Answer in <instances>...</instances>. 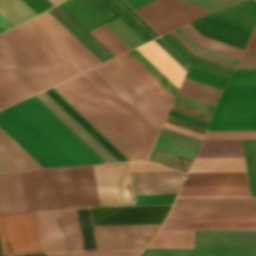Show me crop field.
<instances>
[{"instance_id": "5d738f31", "label": "crop field", "mask_w": 256, "mask_h": 256, "mask_svg": "<svg viewBox=\"0 0 256 256\" xmlns=\"http://www.w3.org/2000/svg\"><path fill=\"white\" fill-rule=\"evenodd\" d=\"M177 196H249L248 190L179 191Z\"/></svg>"}, {"instance_id": "0bd39190", "label": "crop field", "mask_w": 256, "mask_h": 256, "mask_svg": "<svg viewBox=\"0 0 256 256\" xmlns=\"http://www.w3.org/2000/svg\"><path fill=\"white\" fill-rule=\"evenodd\" d=\"M108 27L122 42H124L130 49L144 43V41L137 36L126 24L119 18L104 24Z\"/></svg>"}, {"instance_id": "dafd665d", "label": "crop field", "mask_w": 256, "mask_h": 256, "mask_svg": "<svg viewBox=\"0 0 256 256\" xmlns=\"http://www.w3.org/2000/svg\"><path fill=\"white\" fill-rule=\"evenodd\" d=\"M181 186H248L245 171L187 172Z\"/></svg>"}, {"instance_id": "d1516ede", "label": "crop field", "mask_w": 256, "mask_h": 256, "mask_svg": "<svg viewBox=\"0 0 256 256\" xmlns=\"http://www.w3.org/2000/svg\"><path fill=\"white\" fill-rule=\"evenodd\" d=\"M118 165L125 205H135L127 162ZM93 167L100 205H124L117 163Z\"/></svg>"}, {"instance_id": "ac0d7876", "label": "crop field", "mask_w": 256, "mask_h": 256, "mask_svg": "<svg viewBox=\"0 0 256 256\" xmlns=\"http://www.w3.org/2000/svg\"><path fill=\"white\" fill-rule=\"evenodd\" d=\"M55 88L132 161L148 158L159 132L93 69Z\"/></svg>"}, {"instance_id": "3316defc", "label": "crop field", "mask_w": 256, "mask_h": 256, "mask_svg": "<svg viewBox=\"0 0 256 256\" xmlns=\"http://www.w3.org/2000/svg\"><path fill=\"white\" fill-rule=\"evenodd\" d=\"M0 243L3 255L42 252L35 212L1 214Z\"/></svg>"}, {"instance_id": "00972430", "label": "crop field", "mask_w": 256, "mask_h": 256, "mask_svg": "<svg viewBox=\"0 0 256 256\" xmlns=\"http://www.w3.org/2000/svg\"><path fill=\"white\" fill-rule=\"evenodd\" d=\"M0 130L12 142H14L30 159H32L40 168H42V166L38 162H36L24 149H22L10 136H8L1 128ZM1 131L0 171L39 168Z\"/></svg>"}, {"instance_id": "1f2cbd36", "label": "crop field", "mask_w": 256, "mask_h": 256, "mask_svg": "<svg viewBox=\"0 0 256 256\" xmlns=\"http://www.w3.org/2000/svg\"><path fill=\"white\" fill-rule=\"evenodd\" d=\"M243 53H256V27L254 28Z\"/></svg>"}, {"instance_id": "028f5c9d", "label": "crop field", "mask_w": 256, "mask_h": 256, "mask_svg": "<svg viewBox=\"0 0 256 256\" xmlns=\"http://www.w3.org/2000/svg\"><path fill=\"white\" fill-rule=\"evenodd\" d=\"M149 74H151L165 89L175 96L178 88L167 79L151 62H149L136 48L127 52Z\"/></svg>"}, {"instance_id": "73cf0c24", "label": "crop field", "mask_w": 256, "mask_h": 256, "mask_svg": "<svg viewBox=\"0 0 256 256\" xmlns=\"http://www.w3.org/2000/svg\"><path fill=\"white\" fill-rule=\"evenodd\" d=\"M236 69H256V54H243Z\"/></svg>"}, {"instance_id": "cbeb9de0", "label": "crop field", "mask_w": 256, "mask_h": 256, "mask_svg": "<svg viewBox=\"0 0 256 256\" xmlns=\"http://www.w3.org/2000/svg\"><path fill=\"white\" fill-rule=\"evenodd\" d=\"M160 225L94 226L98 250L143 249Z\"/></svg>"}, {"instance_id": "4a817a6b", "label": "crop field", "mask_w": 256, "mask_h": 256, "mask_svg": "<svg viewBox=\"0 0 256 256\" xmlns=\"http://www.w3.org/2000/svg\"><path fill=\"white\" fill-rule=\"evenodd\" d=\"M109 21L119 17L145 42L159 36L123 0H88Z\"/></svg>"}, {"instance_id": "5142ce71", "label": "crop field", "mask_w": 256, "mask_h": 256, "mask_svg": "<svg viewBox=\"0 0 256 256\" xmlns=\"http://www.w3.org/2000/svg\"><path fill=\"white\" fill-rule=\"evenodd\" d=\"M200 140L162 128L148 160L184 172L194 159ZM155 147L191 159V162L154 150Z\"/></svg>"}, {"instance_id": "412701ff", "label": "crop field", "mask_w": 256, "mask_h": 256, "mask_svg": "<svg viewBox=\"0 0 256 256\" xmlns=\"http://www.w3.org/2000/svg\"><path fill=\"white\" fill-rule=\"evenodd\" d=\"M19 173L26 211L99 205L92 165Z\"/></svg>"}, {"instance_id": "9d1cf04e", "label": "crop field", "mask_w": 256, "mask_h": 256, "mask_svg": "<svg viewBox=\"0 0 256 256\" xmlns=\"http://www.w3.org/2000/svg\"><path fill=\"white\" fill-rule=\"evenodd\" d=\"M133 9H136L152 0H125Z\"/></svg>"}, {"instance_id": "d23c7cc5", "label": "crop field", "mask_w": 256, "mask_h": 256, "mask_svg": "<svg viewBox=\"0 0 256 256\" xmlns=\"http://www.w3.org/2000/svg\"><path fill=\"white\" fill-rule=\"evenodd\" d=\"M176 194L134 195L136 205L172 204Z\"/></svg>"}, {"instance_id": "750c4746", "label": "crop field", "mask_w": 256, "mask_h": 256, "mask_svg": "<svg viewBox=\"0 0 256 256\" xmlns=\"http://www.w3.org/2000/svg\"><path fill=\"white\" fill-rule=\"evenodd\" d=\"M220 92L221 89L185 77L177 93L214 106Z\"/></svg>"}, {"instance_id": "bc2a9ffb", "label": "crop field", "mask_w": 256, "mask_h": 256, "mask_svg": "<svg viewBox=\"0 0 256 256\" xmlns=\"http://www.w3.org/2000/svg\"><path fill=\"white\" fill-rule=\"evenodd\" d=\"M134 194L176 193L183 173L178 171L130 172Z\"/></svg>"}, {"instance_id": "89e229c0", "label": "crop field", "mask_w": 256, "mask_h": 256, "mask_svg": "<svg viewBox=\"0 0 256 256\" xmlns=\"http://www.w3.org/2000/svg\"><path fill=\"white\" fill-rule=\"evenodd\" d=\"M154 40L161 47H163L177 62H179L185 69H187L188 64L175 51H173L160 37H158V38H156Z\"/></svg>"}, {"instance_id": "d3111659", "label": "crop field", "mask_w": 256, "mask_h": 256, "mask_svg": "<svg viewBox=\"0 0 256 256\" xmlns=\"http://www.w3.org/2000/svg\"><path fill=\"white\" fill-rule=\"evenodd\" d=\"M190 24L199 31L215 35L217 37L235 42L243 46H245L250 34L249 32L228 25H224L203 17L190 22Z\"/></svg>"}, {"instance_id": "c21b1889", "label": "crop field", "mask_w": 256, "mask_h": 256, "mask_svg": "<svg viewBox=\"0 0 256 256\" xmlns=\"http://www.w3.org/2000/svg\"><path fill=\"white\" fill-rule=\"evenodd\" d=\"M141 250L47 253V256H137Z\"/></svg>"}, {"instance_id": "733c2abd", "label": "crop field", "mask_w": 256, "mask_h": 256, "mask_svg": "<svg viewBox=\"0 0 256 256\" xmlns=\"http://www.w3.org/2000/svg\"><path fill=\"white\" fill-rule=\"evenodd\" d=\"M160 230H256V219L166 218Z\"/></svg>"}, {"instance_id": "5866460e", "label": "crop field", "mask_w": 256, "mask_h": 256, "mask_svg": "<svg viewBox=\"0 0 256 256\" xmlns=\"http://www.w3.org/2000/svg\"><path fill=\"white\" fill-rule=\"evenodd\" d=\"M0 13L14 26L36 15L21 0H0Z\"/></svg>"}, {"instance_id": "db79e9e6", "label": "crop field", "mask_w": 256, "mask_h": 256, "mask_svg": "<svg viewBox=\"0 0 256 256\" xmlns=\"http://www.w3.org/2000/svg\"><path fill=\"white\" fill-rule=\"evenodd\" d=\"M53 5H55L56 3H58V2H61V1H63V0H49Z\"/></svg>"}, {"instance_id": "e1f06a70", "label": "crop field", "mask_w": 256, "mask_h": 256, "mask_svg": "<svg viewBox=\"0 0 256 256\" xmlns=\"http://www.w3.org/2000/svg\"><path fill=\"white\" fill-rule=\"evenodd\" d=\"M251 196H256V140H242Z\"/></svg>"}, {"instance_id": "1d79db26", "label": "crop field", "mask_w": 256, "mask_h": 256, "mask_svg": "<svg viewBox=\"0 0 256 256\" xmlns=\"http://www.w3.org/2000/svg\"><path fill=\"white\" fill-rule=\"evenodd\" d=\"M41 11L53 6L48 0H31Z\"/></svg>"}, {"instance_id": "a9b5d70f", "label": "crop field", "mask_w": 256, "mask_h": 256, "mask_svg": "<svg viewBox=\"0 0 256 256\" xmlns=\"http://www.w3.org/2000/svg\"><path fill=\"white\" fill-rule=\"evenodd\" d=\"M42 250H65L58 210L36 212Z\"/></svg>"}, {"instance_id": "28ad6ade", "label": "crop field", "mask_w": 256, "mask_h": 256, "mask_svg": "<svg viewBox=\"0 0 256 256\" xmlns=\"http://www.w3.org/2000/svg\"><path fill=\"white\" fill-rule=\"evenodd\" d=\"M135 11L160 35L208 12L176 0H156Z\"/></svg>"}, {"instance_id": "34b2d1b8", "label": "crop field", "mask_w": 256, "mask_h": 256, "mask_svg": "<svg viewBox=\"0 0 256 256\" xmlns=\"http://www.w3.org/2000/svg\"><path fill=\"white\" fill-rule=\"evenodd\" d=\"M0 126L43 167L104 163L34 96L0 111Z\"/></svg>"}, {"instance_id": "447ae74e", "label": "crop field", "mask_w": 256, "mask_h": 256, "mask_svg": "<svg viewBox=\"0 0 256 256\" xmlns=\"http://www.w3.org/2000/svg\"><path fill=\"white\" fill-rule=\"evenodd\" d=\"M0 25L5 29L14 27L2 14H0Z\"/></svg>"}, {"instance_id": "03da06ac", "label": "crop field", "mask_w": 256, "mask_h": 256, "mask_svg": "<svg viewBox=\"0 0 256 256\" xmlns=\"http://www.w3.org/2000/svg\"><path fill=\"white\" fill-rule=\"evenodd\" d=\"M174 32L179 35L189 46H191L195 51L206 54L208 56L226 61L228 63L231 64H236L237 62V58L222 54V53H218L203 47L198 46L190 37H188L180 28L174 30Z\"/></svg>"}, {"instance_id": "1d83c4d3", "label": "crop field", "mask_w": 256, "mask_h": 256, "mask_svg": "<svg viewBox=\"0 0 256 256\" xmlns=\"http://www.w3.org/2000/svg\"><path fill=\"white\" fill-rule=\"evenodd\" d=\"M118 58L124 64H126L142 81H144L160 98H162L169 106H171L174 97L168 91H166L152 76H150L136 61H134L127 53L118 56Z\"/></svg>"}, {"instance_id": "d9b57169", "label": "crop field", "mask_w": 256, "mask_h": 256, "mask_svg": "<svg viewBox=\"0 0 256 256\" xmlns=\"http://www.w3.org/2000/svg\"><path fill=\"white\" fill-rule=\"evenodd\" d=\"M59 212L66 250H96L89 207Z\"/></svg>"}, {"instance_id": "425ffa30", "label": "crop field", "mask_w": 256, "mask_h": 256, "mask_svg": "<svg viewBox=\"0 0 256 256\" xmlns=\"http://www.w3.org/2000/svg\"><path fill=\"white\" fill-rule=\"evenodd\" d=\"M184 1V0H182ZM191 3L196 4L199 7L208 9V10H213L215 8L221 7L223 5H228L230 3H233L237 0H186Z\"/></svg>"}, {"instance_id": "22f410ed", "label": "crop field", "mask_w": 256, "mask_h": 256, "mask_svg": "<svg viewBox=\"0 0 256 256\" xmlns=\"http://www.w3.org/2000/svg\"><path fill=\"white\" fill-rule=\"evenodd\" d=\"M172 205L91 207L94 225L162 224Z\"/></svg>"}, {"instance_id": "0765c3eb", "label": "crop field", "mask_w": 256, "mask_h": 256, "mask_svg": "<svg viewBox=\"0 0 256 256\" xmlns=\"http://www.w3.org/2000/svg\"><path fill=\"white\" fill-rule=\"evenodd\" d=\"M25 4H27L36 14L40 13V11L29 1L22 0Z\"/></svg>"}, {"instance_id": "c035e120", "label": "crop field", "mask_w": 256, "mask_h": 256, "mask_svg": "<svg viewBox=\"0 0 256 256\" xmlns=\"http://www.w3.org/2000/svg\"><path fill=\"white\" fill-rule=\"evenodd\" d=\"M185 76L204 82L206 84L221 88V89H223L227 81V78H224V77H221V76H218V75H215L191 66L189 67Z\"/></svg>"}, {"instance_id": "120bbe31", "label": "crop field", "mask_w": 256, "mask_h": 256, "mask_svg": "<svg viewBox=\"0 0 256 256\" xmlns=\"http://www.w3.org/2000/svg\"><path fill=\"white\" fill-rule=\"evenodd\" d=\"M192 238L193 231H158L146 247H192Z\"/></svg>"}, {"instance_id": "ae1a2a85", "label": "crop field", "mask_w": 256, "mask_h": 256, "mask_svg": "<svg viewBox=\"0 0 256 256\" xmlns=\"http://www.w3.org/2000/svg\"><path fill=\"white\" fill-rule=\"evenodd\" d=\"M173 207H256V198H241V197L177 198Z\"/></svg>"}, {"instance_id": "0f1d7ab4", "label": "crop field", "mask_w": 256, "mask_h": 256, "mask_svg": "<svg viewBox=\"0 0 256 256\" xmlns=\"http://www.w3.org/2000/svg\"><path fill=\"white\" fill-rule=\"evenodd\" d=\"M0 255H2V253H1V248H0Z\"/></svg>"}, {"instance_id": "214f88e0", "label": "crop field", "mask_w": 256, "mask_h": 256, "mask_svg": "<svg viewBox=\"0 0 256 256\" xmlns=\"http://www.w3.org/2000/svg\"><path fill=\"white\" fill-rule=\"evenodd\" d=\"M204 17L250 32L253 25H256V0H242L214 10Z\"/></svg>"}, {"instance_id": "5a996713", "label": "crop field", "mask_w": 256, "mask_h": 256, "mask_svg": "<svg viewBox=\"0 0 256 256\" xmlns=\"http://www.w3.org/2000/svg\"><path fill=\"white\" fill-rule=\"evenodd\" d=\"M60 4L88 30L108 22V20L87 0H65ZM60 4L47 11L102 62L114 57V55L106 47H104Z\"/></svg>"}, {"instance_id": "eef30255", "label": "crop field", "mask_w": 256, "mask_h": 256, "mask_svg": "<svg viewBox=\"0 0 256 256\" xmlns=\"http://www.w3.org/2000/svg\"><path fill=\"white\" fill-rule=\"evenodd\" d=\"M168 43L182 58L190 65L210 71L212 73L229 78L233 68L215 63L213 61L193 55L183 44H181L170 32L160 36Z\"/></svg>"}, {"instance_id": "4177f3b9", "label": "crop field", "mask_w": 256, "mask_h": 256, "mask_svg": "<svg viewBox=\"0 0 256 256\" xmlns=\"http://www.w3.org/2000/svg\"><path fill=\"white\" fill-rule=\"evenodd\" d=\"M14 204V205H9ZM25 211L18 171L0 172V213Z\"/></svg>"}, {"instance_id": "7b73153f", "label": "crop field", "mask_w": 256, "mask_h": 256, "mask_svg": "<svg viewBox=\"0 0 256 256\" xmlns=\"http://www.w3.org/2000/svg\"><path fill=\"white\" fill-rule=\"evenodd\" d=\"M30 256H46V254H41V255H30Z\"/></svg>"}, {"instance_id": "8a807250", "label": "crop field", "mask_w": 256, "mask_h": 256, "mask_svg": "<svg viewBox=\"0 0 256 256\" xmlns=\"http://www.w3.org/2000/svg\"><path fill=\"white\" fill-rule=\"evenodd\" d=\"M54 84L101 61L47 11L2 33ZM0 34V85L17 101L54 85Z\"/></svg>"}, {"instance_id": "b54c1fbb", "label": "crop field", "mask_w": 256, "mask_h": 256, "mask_svg": "<svg viewBox=\"0 0 256 256\" xmlns=\"http://www.w3.org/2000/svg\"><path fill=\"white\" fill-rule=\"evenodd\" d=\"M204 139H256L253 131H207Z\"/></svg>"}, {"instance_id": "dd49c442", "label": "crop field", "mask_w": 256, "mask_h": 256, "mask_svg": "<svg viewBox=\"0 0 256 256\" xmlns=\"http://www.w3.org/2000/svg\"><path fill=\"white\" fill-rule=\"evenodd\" d=\"M93 69L160 131L170 107L117 57Z\"/></svg>"}, {"instance_id": "dbb93151", "label": "crop field", "mask_w": 256, "mask_h": 256, "mask_svg": "<svg viewBox=\"0 0 256 256\" xmlns=\"http://www.w3.org/2000/svg\"><path fill=\"white\" fill-rule=\"evenodd\" d=\"M171 33L180 41L182 42L193 54L195 55H198V56H201V57H204V58H207V59H210V60H213L215 62H218V63H221V64H224V65H227V66H230V67H235L234 65H231V64H228V63H225L223 61H220V60H217V59H214V58H211V57H208V56H205L203 54H200V53H197L195 52L191 47H189L179 36H177L173 31H171Z\"/></svg>"}, {"instance_id": "b80d0937", "label": "crop field", "mask_w": 256, "mask_h": 256, "mask_svg": "<svg viewBox=\"0 0 256 256\" xmlns=\"http://www.w3.org/2000/svg\"><path fill=\"white\" fill-rule=\"evenodd\" d=\"M108 28V27H107ZM104 25L94 29L99 35H101L112 47H114L119 53L128 49V47L122 43L111 31H109ZM91 31V33L101 42L103 43L114 55L118 54V52L112 48L101 36H99L95 31Z\"/></svg>"}, {"instance_id": "d8731c3e", "label": "crop field", "mask_w": 256, "mask_h": 256, "mask_svg": "<svg viewBox=\"0 0 256 256\" xmlns=\"http://www.w3.org/2000/svg\"><path fill=\"white\" fill-rule=\"evenodd\" d=\"M139 256H256V231H194L193 248H144Z\"/></svg>"}, {"instance_id": "d32e631a", "label": "crop field", "mask_w": 256, "mask_h": 256, "mask_svg": "<svg viewBox=\"0 0 256 256\" xmlns=\"http://www.w3.org/2000/svg\"><path fill=\"white\" fill-rule=\"evenodd\" d=\"M198 45L239 58L242 49L202 36L189 23L180 27Z\"/></svg>"}, {"instance_id": "f4fd0767", "label": "crop field", "mask_w": 256, "mask_h": 256, "mask_svg": "<svg viewBox=\"0 0 256 256\" xmlns=\"http://www.w3.org/2000/svg\"><path fill=\"white\" fill-rule=\"evenodd\" d=\"M256 129V70H235L221 93L207 130Z\"/></svg>"}, {"instance_id": "730fd06b", "label": "crop field", "mask_w": 256, "mask_h": 256, "mask_svg": "<svg viewBox=\"0 0 256 256\" xmlns=\"http://www.w3.org/2000/svg\"><path fill=\"white\" fill-rule=\"evenodd\" d=\"M168 217L256 218V208H172Z\"/></svg>"}, {"instance_id": "e52e79f7", "label": "crop field", "mask_w": 256, "mask_h": 256, "mask_svg": "<svg viewBox=\"0 0 256 256\" xmlns=\"http://www.w3.org/2000/svg\"><path fill=\"white\" fill-rule=\"evenodd\" d=\"M35 97L105 163L131 161L54 87Z\"/></svg>"}, {"instance_id": "78b8030e", "label": "crop field", "mask_w": 256, "mask_h": 256, "mask_svg": "<svg viewBox=\"0 0 256 256\" xmlns=\"http://www.w3.org/2000/svg\"><path fill=\"white\" fill-rule=\"evenodd\" d=\"M4 31V29L0 26V32Z\"/></svg>"}, {"instance_id": "bd1437ed", "label": "crop field", "mask_w": 256, "mask_h": 256, "mask_svg": "<svg viewBox=\"0 0 256 256\" xmlns=\"http://www.w3.org/2000/svg\"><path fill=\"white\" fill-rule=\"evenodd\" d=\"M243 156L241 140L203 141L197 157Z\"/></svg>"}, {"instance_id": "0fb4a251", "label": "crop field", "mask_w": 256, "mask_h": 256, "mask_svg": "<svg viewBox=\"0 0 256 256\" xmlns=\"http://www.w3.org/2000/svg\"><path fill=\"white\" fill-rule=\"evenodd\" d=\"M248 189V187H181L180 190Z\"/></svg>"}, {"instance_id": "25e5ab78", "label": "crop field", "mask_w": 256, "mask_h": 256, "mask_svg": "<svg viewBox=\"0 0 256 256\" xmlns=\"http://www.w3.org/2000/svg\"><path fill=\"white\" fill-rule=\"evenodd\" d=\"M174 100L178 101V102H181V103H184V104H187V105H190V106H193L195 108L210 112V113L212 112V110L214 108L213 106L195 101L193 99H190V98L178 95V94L176 95Z\"/></svg>"}, {"instance_id": "92a150f3", "label": "crop field", "mask_w": 256, "mask_h": 256, "mask_svg": "<svg viewBox=\"0 0 256 256\" xmlns=\"http://www.w3.org/2000/svg\"><path fill=\"white\" fill-rule=\"evenodd\" d=\"M137 49L145 57H147L167 78H169L177 87H179L186 70L180 66L163 48L152 40L137 47Z\"/></svg>"}]
</instances>
